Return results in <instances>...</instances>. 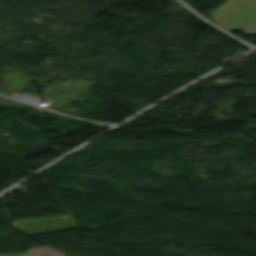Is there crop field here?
Returning <instances> with one entry per match:
<instances>
[{"label": "crop field", "mask_w": 256, "mask_h": 256, "mask_svg": "<svg viewBox=\"0 0 256 256\" xmlns=\"http://www.w3.org/2000/svg\"><path fill=\"white\" fill-rule=\"evenodd\" d=\"M211 17L230 30L256 35V0H228Z\"/></svg>", "instance_id": "1"}]
</instances>
